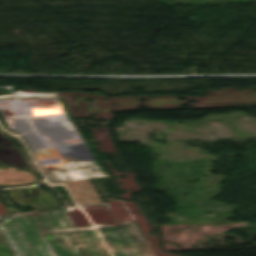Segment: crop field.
Here are the masks:
<instances>
[{"instance_id": "ac0d7876", "label": "crop field", "mask_w": 256, "mask_h": 256, "mask_svg": "<svg viewBox=\"0 0 256 256\" xmlns=\"http://www.w3.org/2000/svg\"><path fill=\"white\" fill-rule=\"evenodd\" d=\"M56 256H110L93 228L44 234ZM57 240L58 242H55Z\"/></svg>"}, {"instance_id": "f4fd0767", "label": "crop field", "mask_w": 256, "mask_h": 256, "mask_svg": "<svg viewBox=\"0 0 256 256\" xmlns=\"http://www.w3.org/2000/svg\"><path fill=\"white\" fill-rule=\"evenodd\" d=\"M126 227L129 230L132 237L134 238L135 242L137 243V245L140 248L143 255L144 256H153L152 252L150 251L146 242L142 238V236L139 233L138 229L136 228L135 224L126 225Z\"/></svg>"}, {"instance_id": "412701ff", "label": "crop field", "mask_w": 256, "mask_h": 256, "mask_svg": "<svg viewBox=\"0 0 256 256\" xmlns=\"http://www.w3.org/2000/svg\"><path fill=\"white\" fill-rule=\"evenodd\" d=\"M77 203L102 202L90 179L65 182Z\"/></svg>"}, {"instance_id": "e52e79f7", "label": "crop field", "mask_w": 256, "mask_h": 256, "mask_svg": "<svg viewBox=\"0 0 256 256\" xmlns=\"http://www.w3.org/2000/svg\"><path fill=\"white\" fill-rule=\"evenodd\" d=\"M16 256H55L52 251L47 252H38V253H28V254H19Z\"/></svg>"}, {"instance_id": "dd49c442", "label": "crop field", "mask_w": 256, "mask_h": 256, "mask_svg": "<svg viewBox=\"0 0 256 256\" xmlns=\"http://www.w3.org/2000/svg\"><path fill=\"white\" fill-rule=\"evenodd\" d=\"M0 256H12L4 241L0 237Z\"/></svg>"}, {"instance_id": "8a807250", "label": "crop field", "mask_w": 256, "mask_h": 256, "mask_svg": "<svg viewBox=\"0 0 256 256\" xmlns=\"http://www.w3.org/2000/svg\"><path fill=\"white\" fill-rule=\"evenodd\" d=\"M71 221L64 208L11 216L0 222V231L15 254L47 251L50 248L42 233L76 229Z\"/></svg>"}, {"instance_id": "34b2d1b8", "label": "crop field", "mask_w": 256, "mask_h": 256, "mask_svg": "<svg viewBox=\"0 0 256 256\" xmlns=\"http://www.w3.org/2000/svg\"><path fill=\"white\" fill-rule=\"evenodd\" d=\"M98 231L112 256H143L125 225L102 227Z\"/></svg>"}]
</instances>
